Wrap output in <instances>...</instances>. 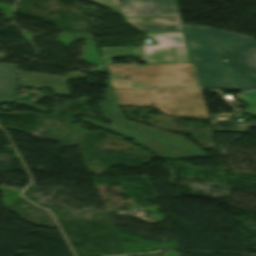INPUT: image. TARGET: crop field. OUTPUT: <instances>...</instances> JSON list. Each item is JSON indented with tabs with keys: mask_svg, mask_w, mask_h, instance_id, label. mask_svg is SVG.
<instances>
[{
	"mask_svg": "<svg viewBox=\"0 0 256 256\" xmlns=\"http://www.w3.org/2000/svg\"><path fill=\"white\" fill-rule=\"evenodd\" d=\"M114 90L121 106H153L172 116L208 119L202 92L198 89L162 87L153 90Z\"/></svg>",
	"mask_w": 256,
	"mask_h": 256,
	"instance_id": "ac0d7876",
	"label": "crop field"
},
{
	"mask_svg": "<svg viewBox=\"0 0 256 256\" xmlns=\"http://www.w3.org/2000/svg\"><path fill=\"white\" fill-rule=\"evenodd\" d=\"M88 76V75H87ZM82 72L66 73V76L58 77L51 75L35 74L19 71V81L22 87L51 88L57 95H69L67 86L64 85L68 79L87 77Z\"/></svg>",
	"mask_w": 256,
	"mask_h": 256,
	"instance_id": "d8731c3e",
	"label": "crop field"
},
{
	"mask_svg": "<svg viewBox=\"0 0 256 256\" xmlns=\"http://www.w3.org/2000/svg\"><path fill=\"white\" fill-rule=\"evenodd\" d=\"M7 65L8 63L0 64V104L12 103L17 101L15 97L17 91L15 71L16 68L19 67V65ZM19 104L30 106L44 112L47 111V109L31 103L21 102Z\"/></svg>",
	"mask_w": 256,
	"mask_h": 256,
	"instance_id": "3316defc",
	"label": "crop field"
},
{
	"mask_svg": "<svg viewBox=\"0 0 256 256\" xmlns=\"http://www.w3.org/2000/svg\"><path fill=\"white\" fill-rule=\"evenodd\" d=\"M106 81V80H105ZM108 85V89L105 90L106 101L99 103L100 110L102 112V115L105 119L112 122L110 126L101 123L99 121L90 119V118H83L81 120H84L86 122L92 123L94 125H97L99 127H102L104 129L119 133L126 137L127 139H133L131 136V133L129 131L126 119L124 117V114L120 108V105L115 97L113 87L111 85L110 81H106Z\"/></svg>",
	"mask_w": 256,
	"mask_h": 256,
	"instance_id": "dd49c442",
	"label": "crop field"
},
{
	"mask_svg": "<svg viewBox=\"0 0 256 256\" xmlns=\"http://www.w3.org/2000/svg\"><path fill=\"white\" fill-rule=\"evenodd\" d=\"M158 45L143 46L144 63L191 62L183 33H146Z\"/></svg>",
	"mask_w": 256,
	"mask_h": 256,
	"instance_id": "f4fd0767",
	"label": "crop field"
},
{
	"mask_svg": "<svg viewBox=\"0 0 256 256\" xmlns=\"http://www.w3.org/2000/svg\"><path fill=\"white\" fill-rule=\"evenodd\" d=\"M111 78L129 77L149 85L197 86L192 64L172 65H105Z\"/></svg>",
	"mask_w": 256,
	"mask_h": 256,
	"instance_id": "34b2d1b8",
	"label": "crop field"
},
{
	"mask_svg": "<svg viewBox=\"0 0 256 256\" xmlns=\"http://www.w3.org/2000/svg\"><path fill=\"white\" fill-rule=\"evenodd\" d=\"M125 17L179 16L175 0H117ZM123 16V17H124Z\"/></svg>",
	"mask_w": 256,
	"mask_h": 256,
	"instance_id": "e52e79f7",
	"label": "crop field"
},
{
	"mask_svg": "<svg viewBox=\"0 0 256 256\" xmlns=\"http://www.w3.org/2000/svg\"><path fill=\"white\" fill-rule=\"evenodd\" d=\"M200 87L256 89L255 38L210 27L185 25ZM227 58L229 61L221 60Z\"/></svg>",
	"mask_w": 256,
	"mask_h": 256,
	"instance_id": "8a807250",
	"label": "crop field"
},
{
	"mask_svg": "<svg viewBox=\"0 0 256 256\" xmlns=\"http://www.w3.org/2000/svg\"><path fill=\"white\" fill-rule=\"evenodd\" d=\"M102 62L113 63V58L139 56L140 47H100Z\"/></svg>",
	"mask_w": 256,
	"mask_h": 256,
	"instance_id": "28ad6ade",
	"label": "crop field"
},
{
	"mask_svg": "<svg viewBox=\"0 0 256 256\" xmlns=\"http://www.w3.org/2000/svg\"><path fill=\"white\" fill-rule=\"evenodd\" d=\"M113 87L114 88H130V82H126V81H115V80H111ZM140 88L143 89H150L152 87H148V86H141Z\"/></svg>",
	"mask_w": 256,
	"mask_h": 256,
	"instance_id": "cbeb9de0",
	"label": "crop field"
},
{
	"mask_svg": "<svg viewBox=\"0 0 256 256\" xmlns=\"http://www.w3.org/2000/svg\"><path fill=\"white\" fill-rule=\"evenodd\" d=\"M235 96L248 105H256V91L252 93H242Z\"/></svg>",
	"mask_w": 256,
	"mask_h": 256,
	"instance_id": "22f410ed",
	"label": "crop field"
},
{
	"mask_svg": "<svg viewBox=\"0 0 256 256\" xmlns=\"http://www.w3.org/2000/svg\"><path fill=\"white\" fill-rule=\"evenodd\" d=\"M242 113H250L252 116H256V107H248Z\"/></svg>",
	"mask_w": 256,
	"mask_h": 256,
	"instance_id": "5142ce71",
	"label": "crop field"
},
{
	"mask_svg": "<svg viewBox=\"0 0 256 256\" xmlns=\"http://www.w3.org/2000/svg\"><path fill=\"white\" fill-rule=\"evenodd\" d=\"M126 21L143 32H183L179 17H136Z\"/></svg>",
	"mask_w": 256,
	"mask_h": 256,
	"instance_id": "5a996713",
	"label": "crop field"
},
{
	"mask_svg": "<svg viewBox=\"0 0 256 256\" xmlns=\"http://www.w3.org/2000/svg\"><path fill=\"white\" fill-rule=\"evenodd\" d=\"M128 125L137 145L155 152L164 159L206 156L180 135L132 122H128Z\"/></svg>",
	"mask_w": 256,
	"mask_h": 256,
	"instance_id": "412701ff",
	"label": "crop field"
},
{
	"mask_svg": "<svg viewBox=\"0 0 256 256\" xmlns=\"http://www.w3.org/2000/svg\"><path fill=\"white\" fill-rule=\"evenodd\" d=\"M90 1L96 2L115 13H119L117 9L118 5L116 0H90Z\"/></svg>",
	"mask_w": 256,
	"mask_h": 256,
	"instance_id": "d1516ede",
	"label": "crop field"
}]
</instances>
